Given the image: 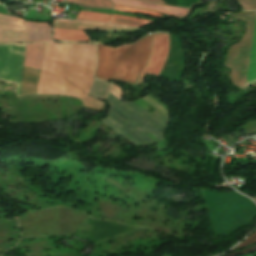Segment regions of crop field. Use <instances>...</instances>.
Segmentation results:
<instances>
[{
    "label": "crop field",
    "mask_w": 256,
    "mask_h": 256,
    "mask_svg": "<svg viewBox=\"0 0 256 256\" xmlns=\"http://www.w3.org/2000/svg\"><path fill=\"white\" fill-rule=\"evenodd\" d=\"M19 46H0L1 80L19 83L25 49ZM95 65V43L46 45L40 74L37 70L24 67L20 84L16 83L15 94L35 95L39 74L36 95L66 94L79 98L85 108L102 111L105 103L87 96Z\"/></svg>",
    "instance_id": "obj_1"
},
{
    "label": "crop field",
    "mask_w": 256,
    "mask_h": 256,
    "mask_svg": "<svg viewBox=\"0 0 256 256\" xmlns=\"http://www.w3.org/2000/svg\"><path fill=\"white\" fill-rule=\"evenodd\" d=\"M151 47L150 35L131 45L111 48L97 44L96 77L134 84L142 71Z\"/></svg>",
    "instance_id": "obj_2"
},
{
    "label": "crop field",
    "mask_w": 256,
    "mask_h": 256,
    "mask_svg": "<svg viewBox=\"0 0 256 256\" xmlns=\"http://www.w3.org/2000/svg\"><path fill=\"white\" fill-rule=\"evenodd\" d=\"M232 16L237 19L247 20L246 33L239 43L230 47L226 63L227 67L232 68L230 73L231 81L244 90L256 11L236 13Z\"/></svg>",
    "instance_id": "obj_3"
},
{
    "label": "crop field",
    "mask_w": 256,
    "mask_h": 256,
    "mask_svg": "<svg viewBox=\"0 0 256 256\" xmlns=\"http://www.w3.org/2000/svg\"><path fill=\"white\" fill-rule=\"evenodd\" d=\"M152 47L148 61L138 77L135 85H139L144 74L149 73L159 76L169 50V34L157 33L152 34ZM141 85V84H140Z\"/></svg>",
    "instance_id": "obj_4"
},
{
    "label": "crop field",
    "mask_w": 256,
    "mask_h": 256,
    "mask_svg": "<svg viewBox=\"0 0 256 256\" xmlns=\"http://www.w3.org/2000/svg\"><path fill=\"white\" fill-rule=\"evenodd\" d=\"M0 42H27L26 22L0 15Z\"/></svg>",
    "instance_id": "obj_5"
},
{
    "label": "crop field",
    "mask_w": 256,
    "mask_h": 256,
    "mask_svg": "<svg viewBox=\"0 0 256 256\" xmlns=\"http://www.w3.org/2000/svg\"><path fill=\"white\" fill-rule=\"evenodd\" d=\"M54 28H64V29H87V30H99V31H108V32H118V33H133L139 29L110 25V24H99V23H87L79 21H70V20H55Z\"/></svg>",
    "instance_id": "obj_6"
},
{
    "label": "crop field",
    "mask_w": 256,
    "mask_h": 256,
    "mask_svg": "<svg viewBox=\"0 0 256 256\" xmlns=\"http://www.w3.org/2000/svg\"><path fill=\"white\" fill-rule=\"evenodd\" d=\"M112 1L116 4H119V5L156 10L158 12L167 14L169 16L178 17V18H179V16L183 17L184 15H186L187 11H188V10H186L187 8L186 9H180L181 7L180 8H175L176 6L175 7H169L170 5L169 6H161V5L151 4V3L137 1V0H112ZM200 2H201V0H200ZM184 17H186V16H184Z\"/></svg>",
    "instance_id": "obj_7"
},
{
    "label": "crop field",
    "mask_w": 256,
    "mask_h": 256,
    "mask_svg": "<svg viewBox=\"0 0 256 256\" xmlns=\"http://www.w3.org/2000/svg\"><path fill=\"white\" fill-rule=\"evenodd\" d=\"M28 42L51 40V27L48 23L27 22Z\"/></svg>",
    "instance_id": "obj_8"
},
{
    "label": "crop field",
    "mask_w": 256,
    "mask_h": 256,
    "mask_svg": "<svg viewBox=\"0 0 256 256\" xmlns=\"http://www.w3.org/2000/svg\"><path fill=\"white\" fill-rule=\"evenodd\" d=\"M44 44L26 45L24 66L40 70Z\"/></svg>",
    "instance_id": "obj_9"
},
{
    "label": "crop field",
    "mask_w": 256,
    "mask_h": 256,
    "mask_svg": "<svg viewBox=\"0 0 256 256\" xmlns=\"http://www.w3.org/2000/svg\"><path fill=\"white\" fill-rule=\"evenodd\" d=\"M54 39L62 41H89L90 39L81 30L54 29Z\"/></svg>",
    "instance_id": "obj_10"
},
{
    "label": "crop field",
    "mask_w": 256,
    "mask_h": 256,
    "mask_svg": "<svg viewBox=\"0 0 256 256\" xmlns=\"http://www.w3.org/2000/svg\"><path fill=\"white\" fill-rule=\"evenodd\" d=\"M253 82H256V22H255V28H254L253 41H252L246 87L248 84Z\"/></svg>",
    "instance_id": "obj_11"
},
{
    "label": "crop field",
    "mask_w": 256,
    "mask_h": 256,
    "mask_svg": "<svg viewBox=\"0 0 256 256\" xmlns=\"http://www.w3.org/2000/svg\"><path fill=\"white\" fill-rule=\"evenodd\" d=\"M109 23L125 24V25L136 26L139 28L142 25L152 23V21L129 17V16L111 15Z\"/></svg>",
    "instance_id": "obj_12"
},
{
    "label": "crop field",
    "mask_w": 256,
    "mask_h": 256,
    "mask_svg": "<svg viewBox=\"0 0 256 256\" xmlns=\"http://www.w3.org/2000/svg\"><path fill=\"white\" fill-rule=\"evenodd\" d=\"M65 2L76 3L82 7L113 9L114 5L110 0H65Z\"/></svg>",
    "instance_id": "obj_13"
},
{
    "label": "crop field",
    "mask_w": 256,
    "mask_h": 256,
    "mask_svg": "<svg viewBox=\"0 0 256 256\" xmlns=\"http://www.w3.org/2000/svg\"><path fill=\"white\" fill-rule=\"evenodd\" d=\"M110 86V83L95 78L89 95L105 100V97L110 89Z\"/></svg>",
    "instance_id": "obj_14"
},
{
    "label": "crop field",
    "mask_w": 256,
    "mask_h": 256,
    "mask_svg": "<svg viewBox=\"0 0 256 256\" xmlns=\"http://www.w3.org/2000/svg\"><path fill=\"white\" fill-rule=\"evenodd\" d=\"M109 17L110 15L108 14L80 11L77 19L108 23Z\"/></svg>",
    "instance_id": "obj_15"
},
{
    "label": "crop field",
    "mask_w": 256,
    "mask_h": 256,
    "mask_svg": "<svg viewBox=\"0 0 256 256\" xmlns=\"http://www.w3.org/2000/svg\"><path fill=\"white\" fill-rule=\"evenodd\" d=\"M114 10L124 11V12H134V13L145 14V15H150V16H154V17H160L162 15V14L148 11V10H138V9H134V8H126V7L117 6V5L115 6Z\"/></svg>",
    "instance_id": "obj_16"
},
{
    "label": "crop field",
    "mask_w": 256,
    "mask_h": 256,
    "mask_svg": "<svg viewBox=\"0 0 256 256\" xmlns=\"http://www.w3.org/2000/svg\"><path fill=\"white\" fill-rule=\"evenodd\" d=\"M244 10H256V0H238Z\"/></svg>",
    "instance_id": "obj_17"
},
{
    "label": "crop field",
    "mask_w": 256,
    "mask_h": 256,
    "mask_svg": "<svg viewBox=\"0 0 256 256\" xmlns=\"http://www.w3.org/2000/svg\"><path fill=\"white\" fill-rule=\"evenodd\" d=\"M254 199L256 201V198H254ZM255 242H256V231L250 237H248L243 242H241L238 247H236V248H234L232 250H237L239 248H242L244 246H247V245L255 243Z\"/></svg>",
    "instance_id": "obj_18"
}]
</instances>
